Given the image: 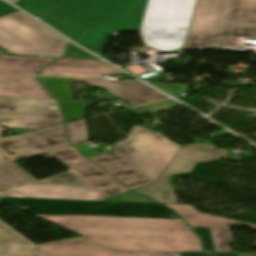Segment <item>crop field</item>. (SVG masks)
I'll use <instances>...</instances> for the list:
<instances>
[{
  "mask_svg": "<svg viewBox=\"0 0 256 256\" xmlns=\"http://www.w3.org/2000/svg\"><path fill=\"white\" fill-rule=\"evenodd\" d=\"M0 201L113 250L202 251L171 210L150 203L0 197Z\"/></svg>",
  "mask_w": 256,
  "mask_h": 256,
  "instance_id": "obj_1",
  "label": "crop field"
},
{
  "mask_svg": "<svg viewBox=\"0 0 256 256\" xmlns=\"http://www.w3.org/2000/svg\"><path fill=\"white\" fill-rule=\"evenodd\" d=\"M187 47H216L218 39L256 38V0H198Z\"/></svg>",
  "mask_w": 256,
  "mask_h": 256,
  "instance_id": "obj_2",
  "label": "crop field"
},
{
  "mask_svg": "<svg viewBox=\"0 0 256 256\" xmlns=\"http://www.w3.org/2000/svg\"><path fill=\"white\" fill-rule=\"evenodd\" d=\"M194 4L195 0H140L136 20L142 19L139 32L145 47L156 51L183 48Z\"/></svg>",
  "mask_w": 256,
  "mask_h": 256,
  "instance_id": "obj_3",
  "label": "crop field"
},
{
  "mask_svg": "<svg viewBox=\"0 0 256 256\" xmlns=\"http://www.w3.org/2000/svg\"><path fill=\"white\" fill-rule=\"evenodd\" d=\"M67 40L23 13L0 19V48L11 54L61 57Z\"/></svg>",
  "mask_w": 256,
  "mask_h": 256,
  "instance_id": "obj_4",
  "label": "crop field"
},
{
  "mask_svg": "<svg viewBox=\"0 0 256 256\" xmlns=\"http://www.w3.org/2000/svg\"><path fill=\"white\" fill-rule=\"evenodd\" d=\"M180 148L162 134L136 126L126 140L113 149L154 183Z\"/></svg>",
  "mask_w": 256,
  "mask_h": 256,
  "instance_id": "obj_5",
  "label": "crop field"
},
{
  "mask_svg": "<svg viewBox=\"0 0 256 256\" xmlns=\"http://www.w3.org/2000/svg\"><path fill=\"white\" fill-rule=\"evenodd\" d=\"M62 122L54 99L0 97V126L41 128Z\"/></svg>",
  "mask_w": 256,
  "mask_h": 256,
  "instance_id": "obj_6",
  "label": "crop field"
},
{
  "mask_svg": "<svg viewBox=\"0 0 256 256\" xmlns=\"http://www.w3.org/2000/svg\"><path fill=\"white\" fill-rule=\"evenodd\" d=\"M228 151L199 143L183 146L154 184L134 191L147 195L160 203L178 204L172 186L169 184L172 174L191 170L197 161H208L217 157L227 158Z\"/></svg>",
  "mask_w": 256,
  "mask_h": 256,
  "instance_id": "obj_7",
  "label": "crop field"
},
{
  "mask_svg": "<svg viewBox=\"0 0 256 256\" xmlns=\"http://www.w3.org/2000/svg\"><path fill=\"white\" fill-rule=\"evenodd\" d=\"M0 196L76 200L104 199L73 172L0 193Z\"/></svg>",
  "mask_w": 256,
  "mask_h": 256,
  "instance_id": "obj_8",
  "label": "crop field"
},
{
  "mask_svg": "<svg viewBox=\"0 0 256 256\" xmlns=\"http://www.w3.org/2000/svg\"><path fill=\"white\" fill-rule=\"evenodd\" d=\"M69 145L64 126H58L20 137L0 141V152L11 161L45 154Z\"/></svg>",
  "mask_w": 256,
  "mask_h": 256,
  "instance_id": "obj_9",
  "label": "crop field"
},
{
  "mask_svg": "<svg viewBox=\"0 0 256 256\" xmlns=\"http://www.w3.org/2000/svg\"><path fill=\"white\" fill-rule=\"evenodd\" d=\"M50 153L104 197L128 191L117 179L79 154L76 148L68 146Z\"/></svg>",
  "mask_w": 256,
  "mask_h": 256,
  "instance_id": "obj_10",
  "label": "crop field"
},
{
  "mask_svg": "<svg viewBox=\"0 0 256 256\" xmlns=\"http://www.w3.org/2000/svg\"><path fill=\"white\" fill-rule=\"evenodd\" d=\"M50 256H178L167 252H115L82 237L38 246Z\"/></svg>",
  "mask_w": 256,
  "mask_h": 256,
  "instance_id": "obj_11",
  "label": "crop field"
},
{
  "mask_svg": "<svg viewBox=\"0 0 256 256\" xmlns=\"http://www.w3.org/2000/svg\"><path fill=\"white\" fill-rule=\"evenodd\" d=\"M73 81H84L91 88L106 89L107 92L134 106L167 98L141 82L85 79H73Z\"/></svg>",
  "mask_w": 256,
  "mask_h": 256,
  "instance_id": "obj_12",
  "label": "crop field"
},
{
  "mask_svg": "<svg viewBox=\"0 0 256 256\" xmlns=\"http://www.w3.org/2000/svg\"><path fill=\"white\" fill-rule=\"evenodd\" d=\"M122 157V156H121ZM115 151L89 157L98 165L102 166L108 173L116 176L131 190L152 184L147 178L136 171Z\"/></svg>",
  "mask_w": 256,
  "mask_h": 256,
  "instance_id": "obj_13",
  "label": "crop field"
},
{
  "mask_svg": "<svg viewBox=\"0 0 256 256\" xmlns=\"http://www.w3.org/2000/svg\"><path fill=\"white\" fill-rule=\"evenodd\" d=\"M0 96L52 98L35 76L0 75Z\"/></svg>",
  "mask_w": 256,
  "mask_h": 256,
  "instance_id": "obj_14",
  "label": "crop field"
},
{
  "mask_svg": "<svg viewBox=\"0 0 256 256\" xmlns=\"http://www.w3.org/2000/svg\"><path fill=\"white\" fill-rule=\"evenodd\" d=\"M37 179L0 154V192L12 189Z\"/></svg>",
  "mask_w": 256,
  "mask_h": 256,
  "instance_id": "obj_15",
  "label": "crop field"
},
{
  "mask_svg": "<svg viewBox=\"0 0 256 256\" xmlns=\"http://www.w3.org/2000/svg\"><path fill=\"white\" fill-rule=\"evenodd\" d=\"M206 252H232L227 244L234 243L229 228L194 227Z\"/></svg>",
  "mask_w": 256,
  "mask_h": 256,
  "instance_id": "obj_16",
  "label": "crop field"
},
{
  "mask_svg": "<svg viewBox=\"0 0 256 256\" xmlns=\"http://www.w3.org/2000/svg\"><path fill=\"white\" fill-rule=\"evenodd\" d=\"M54 61L56 60L0 56V72L37 75L39 69Z\"/></svg>",
  "mask_w": 256,
  "mask_h": 256,
  "instance_id": "obj_17",
  "label": "crop field"
},
{
  "mask_svg": "<svg viewBox=\"0 0 256 256\" xmlns=\"http://www.w3.org/2000/svg\"><path fill=\"white\" fill-rule=\"evenodd\" d=\"M45 70L97 74H125L107 63L97 61L60 60Z\"/></svg>",
  "mask_w": 256,
  "mask_h": 256,
  "instance_id": "obj_18",
  "label": "crop field"
},
{
  "mask_svg": "<svg viewBox=\"0 0 256 256\" xmlns=\"http://www.w3.org/2000/svg\"><path fill=\"white\" fill-rule=\"evenodd\" d=\"M35 249L0 222V256H21Z\"/></svg>",
  "mask_w": 256,
  "mask_h": 256,
  "instance_id": "obj_19",
  "label": "crop field"
},
{
  "mask_svg": "<svg viewBox=\"0 0 256 256\" xmlns=\"http://www.w3.org/2000/svg\"><path fill=\"white\" fill-rule=\"evenodd\" d=\"M177 211L191 226H227L237 221L198 213L189 205H166Z\"/></svg>",
  "mask_w": 256,
  "mask_h": 256,
  "instance_id": "obj_20",
  "label": "crop field"
},
{
  "mask_svg": "<svg viewBox=\"0 0 256 256\" xmlns=\"http://www.w3.org/2000/svg\"><path fill=\"white\" fill-rule=\"evenodd\" d=\"M62 1L63 0H20L16 4L39 17Z\"/></svg>",
  "mask_w": 256,
  "mask_h": 256,
  "instance_id": "obj_21",
  "label": "crop field"
},
{
  "mask_svg": "<svg viewBox=\"0 0 256 256\" xmlns=\"http://www.w3.org/2000/svg\"><path fill=\"white\" fill-rule=\"evenodd\" d=\"M67 130L71 139V144H76L87 139L85 122H77L73 124H68Z\"/></svg>",
  "mask_w": 256,
  "mask_h": 256,
  "instance_id": "obj_22",
  "label": "crop field"
},
{
  "mask_svg": "<svg viewBox=\"0 0 256 256\" xmlns=\"http://www.w3.org/2000/svg\"><path fill=\"white\" fill-rule=\"evenodd\" d=\"M177 105H179V104H177L171 100H165V101H161V102H157V103H153V104H149V105L132 108L131 111H133L136 114L140 113V112H144V111L157 113L159 111L169 110Z\"/></svg>",
  "mask_w": 256,
  "mask_h": 256,
  "instance_id": "obj_23",
  "label": "crop field"
},
{
  "mask_svg": "<svg viewBox=\"0 0 256 256\" xmlns=\"http://www.w3.org/2000/svg\"><path fill=\"white\" fill-rule=\"evenodd\" d=\"M105 200L156 203L155 201H153V200H151V199H149L145 196L135 194L131 191L124 192V193L117 194V195H113V196H110V197H106Z\"/></svg>",
  "mask_w": 256,
  "mask_h": 256,
  "instance_id": "obj_24",
  "label": "crop field"
},
{
  "mask_svg": "<svg viewBox=\"0 0 256 256\" xmlns=\"http://www.w3.org/2000/svg\"><path fill=\"white\" fill-rule=\"evenodd\" d=\"M40 75L80 77V78H103L104 76V75H97V74H81V73L50 72V71H42Z\"/></svg>",
  "mask_w": 256,
  "mask_h": 256,
  "instance_id": "obj_25",
  "label": "crop field"
},
{
  "mask_svg": "<svg viewBox=\"0 0 256 256\" xmlns=\"http://www.w3.org/2000/svg\"><path fill=\"white\" fill-rule=\"evenodd\" d=\"M158 87L166 90L167 92L175 95L179 92H182L187 89V86H191L188 84H167V83H153Z\"/></svg>",
  "mask_w": 256,
  "mask_h": 256,
  "instance_id": "obj_26",
  "label": "crop field"
},
{
  "mask_svg": "<svg viewBox=\"0 0 256 256\" xmlns=\"http://www.w3.org/2000/svg\"><path fill=\"white\" fill-rule=\"evenodd\" d=\"M23 256H46V255L41 253L39 250L35 249V250H33V251L23 255Z\"/></svg>",
  "mask_w": 256,
  "mask_h": 256,
  "instance_id": "obj_27",
  "label": "crop field"
},
{
  "mask_svg": "<svg viewBox=\"0 0 256 256\" xmlns=\"http://www.w3.org/2000/svg\"><path fill=\"white\" fill-rule=\"evenodd\" d=\"M212 256H237L236 253H207Z\"/></svg>",
  "mask_w": 256,
  "mask_h": 256,
  "instance_id": "obj_28",
  "label": "crop field"
},
{
  "mask_svg": "<svg viewBox=\"0 0 256 256\" xmlns=\"http://www.w3.org/2000/svg\"><path fill=\"white\" fill-rule=\"evenodd\" d=\"M179 256H207L204 253H178Z\"/></svg>",
  "mask_w": 256,
  "mask_h": 256,
  "instance_id": "obj_29",
  "label": "crop field"
},
{
  "mask_svg": "<svg viewBox=\"0 0 256 256\" xmlns=\"http://www.w3.org/2000/svg\"><path fill=\"white\" fill-rule=\"evenodd\" d=\"M243 225H245V226H247V227H250V228H253V229L256 230V226H254V225H250V224H243Z\"/></svg>",
  "mask_w": 256,
  "mask_h": 256,
  "instance_id": "obj_30",
  "label": "crop field"
},
{
  "mask_svg": "<svg viewBox=\"0 0 256 256\" xmlns=\"http://www.w3.org/2000/svg\"><path fill=\"white\" fill-rule=\"evenodd\" d=\"M100 19H101V18H100ZM98 20H99V19H98ZM98 20H97V21H98ZM95 22H96V21H95ZM95 22H94V23H95ZM92 24H93V23H92ZM92 24H90V25H92ZM90 25H89V26H90ZM89 26H87V27H89ZM87 27H86V28H87ZM84 29H85V28H84ZM84 29H83V30H84ZM83 30H82V31H83ZM82 31H81V32H82ZM81 32H80V33H81ZM80 33L77 35V37L80 35ZM77 37H76V39H77ZM76 39H75V40H76Z\"/></svg>",
  "mask_w": 256,
  "mask_h": 256,
  "instance_id": "obj_31",
  "label": "crop field"
},
{
  "mask_svg": "<svg viewBox=\"0 0 256 256\" xmlns=\"http://www.w3.org/2000/svg\"><path fill=\"white\" fill-rule=\"evenodd\" d=\"M10 2H12V3H15L16 1H18V0H9Z\"/></svg>",
  "mask_w": 256,
  "mask_h": 256,
  "instance_id": "obj_32",
  "label": "crop field"
}]
</instances>
